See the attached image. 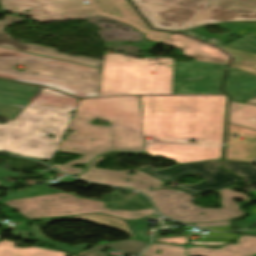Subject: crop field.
<instances>
[{"label": "crop field", "mask_w": 256, "mask_h": 256, "mask_svg": "<svg viewBox=\"0 0 256 256\" xmlns=\"http://www.w3.org/2000/svg\"><path fill=\"white\" fill-rule=\"evenodd\" d=\"M141 98L148 154L180 164L221 159L226 96Z\"/></svg>", "instance_id": "crop-field-1"}, {"label": "crop field", "mask_w": 256, "mask_h": 256, "mask_svg": "<svg viewBox=\"0 0 256 256\" xmlns=\"http://www.w3.org/2000/svg\"><path fill=\"white\" fill-rule=\"evenodd\" d=\"M96 118L111 124L109 127L89 124ZM68 130L74 132L62 141L58 151L84 156L64 166L57 164L53 167L71 175L83 171L71 166L86 164L97 154L109 150L141 151L144 148L138 97L82 100Z\"/></svg>", "instance_id": "crop-field-2"}, {"label": "crop field", "mask_w": 256, "mask_h": 256, "mask_svg": "<svg viewBox=\"0 0 256 256\" xmlns=\"http://www.w3.org/2000/svg\"><path fill=\"white\" fill-rule=\"evenodd\" d=\"M78 101L44 88L0 135V151L52 159L72 119L68 113L76 109ZM47 134L54 135L55 139L48 138Z\"/></svg>", "instance_id": "crop-field-3"}, {"label": "crop field", "mask_w": 256, "mask_h": 256, "mask_svg": "<svg viewBox=\"0 0 256 256\" xmlns=\"http://www.w3.org/2000/svg\"><path fill=\"white\" fill-rule=\"evenodd\" d=\"M104 158H99L90 165V171L82 175L81 179L97 184L130 187L140 192H143L149 196L158 210L168 218L178 220L185 223H203V222H216V221H229L235 217L244 215L238 211L239 206L249 204L250 201L246 194L235 193L227 188L218 190L221 193V203L223 207L221 209H202L192 203L194 197L182 192L174 191L172 189H164L157 191H149L148 187L152 186L155 189L159 188L164 182L157 180L139 170L135 171V176H129V171H110L105 169L94 168L96 162L101 161ZM96 172H92V171ZM125 177L126 179H122ZM131 179L130 182L126 181ZM140 182H144L140 184ZM235 198H241L245 202L238 204L232 200ZM204 213L205 215H200Z\"/></svg>", "instance_id": "crop-field-4"}, {"label": "crop field", "mask_w": 256, "mask_h": 256, "mask_svg": "<svg viewBox=\"0 0 256 256\" xmlns=\"http://www.w3.org/2000/svg\"><path fill=\"white\" fill-rule=\"evenodd\" d=\"M73 182L78 181L70 178L61 183L68 184ZM29 193H32V195H29ZM6 194H8V197H4L0 202L19 210L21 214L32 220L52 216L91 213H104L124 219H139L156 214V211L150 203H142V200L146 199V197L130 190L126 191L124 197L117 194L107 195L103 197L102 201L82 199L71 194L44 187H34L22 192H6ZM29 196H31V198H29ZM60 197L62 198L60 199ZM133 197H135V200H132ZM111 199L116 201H111ZM127 199H129V201H127ZM138 199H140V201ZM44 200H47V202H44ZM52 200L55 201L53 202ZM43 204H45V206H43ZM110 205H113V207H110ZM122 205H125V207H122ZM43 207L46 208L43 209ZM105 207H109V209L107 210ZM27 213L29 215H26ZM136 213L140 215L136 216Z\"/></svg>", "instance_id": "crop-field-5"}, {"label": "crop field", "mask_w": 256, "mask_h": 256, "mask_svg": "<svg viewBox=\"0 0 256 256\" xmlns=\"http://www.w3.org/2000/svg\"><path fill=\"white\" fill-rule=\"evenodd\" d=\"M23 64L24 72L13 69ZM99 69L0 48V78L40 84L79 98L98 97ZM38 74H34V73Z\"/></svg>", "instance_id": "crop-field-6"}, {"label": "crop field", "mask_w": 256, "mask_h": 256, "mask_svg": "<svg viewBox=\"0 0 256 256\" xmlns=\"http://www.w3.org/2000/svg\"><path fill=\"white\" fill-rule=\"evenodd\" d=\"M151 71H155V75H151ZM172 79L173 58L136 59L121 54L105 55L99 97L172 95Z\"/></svg>", "instance_id": "crop-field-7"}, {"label": "crop field", "mask_w": 256, "mask_h": 256, "mask_svg": "<svg viewBox=\"0 0 256 256\" xmlns=\"http://www.w3.org/2000/svg\"><path fill=\"white\" fill-rule=\"evenodd\" d=\"M32 7L31 17L40 22L106 16L135 27L145 38L161 42L170 33L150 30L126 0H6Z\"/></svg>", "instance_id": "crop-field-8"}, {"label": "crop field", "mask_w": 256, "mask_h": 256, "mask_svg": "<svg viewBox=\"0 0 256 256\" xmlns=\"http://www.w3.org/2000/svg\"><path fill=\"white\" fill-rule=\"evenodd\" d=\"M153 28L178 31L212 0H132Z\"/></svg>", "instance_id": "crop-field-9"}, {"label": "crop field", "mask_w": 256, "mask_h": 256, "mask_svg": "<svg viewBox=\"0 0 256 256\" xmlns=\"http://www.w3.org/2000/svg\"><path fill=\"white\" fill-rule=\"evenodd\" d=\"M220 163L221 160H214L184 164L162 171H154L151 167H144L140 168L139 170L166 182H170L191 173H198L206 177L207 181L194 187L184 185L176 186L182 191H187L198 195L209 190L215 191L243 181L222 170L220 168Z\"/></svg>", "instance_id": "crop-field-10"}, {"label": "crop field", "mask_w": 256, "mask_h": 256, "mask_svg": "<svg viewBox=\"0 0 256 256\" xmlns=\"http://www.w3.org/2000/svg\"><path fill=\"white\" fill-rule=\"evenodd\" d=\"M247 20H256V0H213L181 29L215 22Z\"/></svg>", "instance_id": "crop-field-11"}, {"label": "crop field", "mask_w": 256, "mask_h": 256, "mask_svg": "<svg viewBox=\"0 0 256 256\" xmlns=\"http://www.w3.org/2000/svg\"><path fill=\"white\" fill-rule=\"evenodd\" d=\"M243 236V235H242ZM186 247L153 244L142 256H185ZM157 250L161 254H155ZM256 253V237L243 236L236 245L224 247L220 250L188 247V256H252Z\"/></svg>", "instance_id": "crop-field-12"}, {"label": "crop field", "mask_w": 256, "mask_h": 256, "mask_svg": "<svg viewBox=\"0 0 256 256\" xmlns=\"http://www.w3.org/2000/svg\"><path fill=\"white\" fill-rule=\"evenodd\" d=\"M20 20H24V19L6 15L5 20L0 21V46L17 49L21 51H26V52H30V53H34L42 56L72 61V62H76V63H80V64H84V65H88L96 68H102L103 61L85 58L81 56L73 57V56L58 53L57 49L47 48V47L33 45V44L19 43L13 40L8 35V33H5L2 31L3 28Z\"/></svg>", "instance_id": "crop-field-13"}, {"label": "crop field", "mask_w": 256, "mask_h": 256, "mask_svg": "<svg viewBox=\"0 0 256 256\" xmlns=\"http://www.w3.org/2000/svg\"><path fill=\"white\" fill-rule=\"evenodd\" d=\"M239 133V138L233 139L232 134ZM256 159V130L228 123L226 160L254 162Z\"/></svg>", "instance_id": "crop-field-14"}, {"label": "crop field", "mask_w": 256, "mask_h": 256, "mask_svg": "<svg viewBox=\"0 0 256 256\" xmlns=\"http://www.w3.org/2000/svg\"><path fill=\"white\" fill-rule=\"evenodd\" d=\"M162 43L183 49L185 56L196 61L227 64L229 60L228 56L219 50L177 34L167 38Z\"/></svg>", "instance_id": "crop-field-15"}, {"label": "crop field", "mask_w": 256, "mask_h": 256, "mask_svg": "<svg viewBox=\"0 0 256 256\" xmlns=\"http://www.w3.org/2000/svg\"><path fill=\"white\" fill-rule=\"evenodd\" d=\"M226 30H228L230 33L227 35H221V34H210L207 31L204 30L205 27L188 30L183 32V34H186L188 36L197 38L199 40L208 42L213 45L223 44L227 42V39L230 34L234 33L238 36L243 37L247 33H252L256 35V22L252 23H231V24H224L219 25Z\"/></svg>", "instance_id": "crop-field-16"}, {"label": "crop field", "mask_w": 256, "mask_h": 256, "mask_svg": "<svg viewBox=\"0 0 256 256\" xmlns=\"http://www.w3.org/2000/svg\"><path fill=\"white\" fill-rule=\"evenodd\" d=\"M228 122L256 129V106L231 101Z\"/></svg>", "instance_id": "crop-field-17"}, {"label": "crop field", "mask_w": 256, "mask_h": 256, "mask_svg": "<svg viewBox=\"0 0 256 256\" xmlns=\"http://www.w3.org/2000/svg\"><path fill=\"white\" fill-rule=\"evenodd\" d=\"M41 244L36 243V246ZM19 248L14 247L13 242H0V256H72L67 253H58L39 248Z\"/></svg>", "instance_id": "crop-field-18"}, {"label": "crop field", "mask_w": 256, "mask_h": 256, "mask_svg": "<svg viewBox=\"0 0 256 256\" xmlns=\"http://www.w3.org/2000/svg\"><path fill=\"white\" fill-rule=\"evenodd\" d=\"M65 219H75V220H84L116 229H120L128 233L132 239H136V236L133 234V232L129 229V227L126 225L124 221L113 219L110 217H106L103 215H93V216H81V217H68V218H54V219H45L43 221H40L42 223L48 224L54 221L58 220H65ZM150 243V242H147Z\"/></svg>", "instance_id": "crop-field-19"}, {"label": "crop field", "mask_w": 256, "mask_h": 256, "mask_svg": "<svg viewBox=\"0 0 256 256\" xmlns=\"http://www.w3.org/2000/svg\"><path fill=\"white\" fill-rule=\"evenodd\" d=\"M234 57L232 67L256 76V54L243 52L229 47H220Z\"/></svg>", "instance_id": "crop-field-20"}, {"label": "crop field", "mask_w": 256, "mask_h": 256, "mask_svg": "<svg viewBox=\"0 0 256 256\" xmlns=\"http://www.w3.org/2000/svg\"><path fill=\"white\" fill-rule=\"evenodd\" d=\"M146 246L147 243L135 241V240H128L121 243H114V244H105L95 246L90 251L82 252L78 254V256H106V254L99 252L101 248L104 247H112L114 250L130 252L134 254L140 253Z\"/></svg>", "instance_id": "crop-field-21"}, {"label": "crop field", "mask_w": 256, "mask_h": 256, "mask_svg": "<svg viewBox=\"0 0 256 256\" xmlns=\"http://www.w3.org/2000/svg\"><path fill=\"white\" fill-rule=\"evenodd\" d=\"M30 232H33V234L35 235L37 240L52 244L53 246H55L56 248H58L62 251H66V252H70V253H74V254H76L79 251H81L82 249L90 246V245H80V246L74 245L71 247V246H66V245L57 243V242L52 241L46 237H43L42 233L37 225L31 226V231H13L12 236H19L21 238H24V240H22L21 242H26V240L29 239L28 234Z\"/></svg>", "instance_id": "crop-field-22"}, {"label": "crop field", "mask_w": 256, "mask_h": 256, "mask_svg": "<svg viewBox=\"0 0 256 256\" xmlns=\"http://www.w3.org/2000/svg\"><path fill=\"white\" fill-rule=\"evenodd\" d=\"M253 163L230 162L226 161L225 168L244 176L249 179L248 184L256 183V168L252 167Z\"/></svg>", "instance_id": "crop-field-23"}, {"label": "crop field", "mask_w": 256, "mask_h": 256, "mask_svg": "<svg viewBox=\"0 0 256 256\" xmlns=\"http://www.w3.org/2000/svg\"><path fill=\"white\" fill-rule=\"evenodd\" d=\"M238 235L235 234H220L210 232L208 235L203 236L200 242L190 241V245H209V246H221L229 240L236 239Z\"/></svg>", "instance_id": "crop-field-24"}, {"label": "crop field", "mask_w": 256, "mask_h": 256, "mask_svg": "<svg viewBox=\"0 0 256 256\" xmlns=\"http://www.w3.org/2000/svg\"><path fill=\"white\" fill-rule=\"evenodd\" d=\"M0 2H1V8L4 11L30 16L31 8H29V7H25V6H21V5L1 1V0H0ZM13 8L18 9V10H13ZM23 10H28L29 13L23 12Z\"/></svg>", "instance_id": "crop-field-25"}, {"label": "crop field", "mask_w": 256, "mask_h": 256, "mask_svg": "<svg viewBox=\"0 0 256 256\" xmlns=\"http://www.w3.org/2000/svg\"><path fill=\"white\" fill-rule=\"evenodd\" d=\"M195 226L204 227L212 230L218 231H229L230 223L229 222H219V223H204V224H196Z\"/></svg>", "instance_id": "crop-field-26"}, {"label": "crop field", "mask_w": 256, "mask_h": 256, "mask_svg": "<svg viewBox=\"0 0 256 256\" xmlns=\"http://www.w3.org/2000/svg\"><path fill=\"white\" fill-rule=\"evenodd\" d=\"M2 175H4V177H13L18 179V177L21 176L22 173H12L7 170L0 169V177H2ZM17 183H23V182H21L20 180L18 182H13V183H4L3 181H0V186L2 188H14L15 186L13 184H17Z\"/></svg>", "instance_id": "crop-field-27"}, {"label": "crop field", "mask_w": 256, "mask_h": 256, "mask_svg": "<svg viewBox=\"0 0 256 256\" xmlns=\"http://www.w3.org/2000/svg\"><path fill=\"white\" fill-rule=\"evenodd\" d=\"M188 236L186 237H175V238H163L156 240L158 242H165L171 244H178V245H186L187 244Z\"/></svg>", "instance_id": "crop-field-28"}, {"label": "crop field", "mask_w": 256, "mask_h": 256, "mask_svg": "<svg viewBox=\"0 0 256 256\" xmlns=\"http://www.w3.org/2000/svg\"><path fill=\"white\" fill-rule=\"evenodd\" d=\"M127 221L129 222V224H130L131 227H132V225H133L134 223H138V222L141 223L142 219H140V220H127ZM132 228H133V227H132ZM133 229H134V228H133ZM134 231H135L136 234L139 236V238L150 241V238H149V237H147V236H146L145 238L142 237V235H143L142 231L137 230V229H134ZM143 236H144V235H143Z\"/></svg>", "instance_id": "crop-field-29"}, {"label": "crop field", "mask_w": 256, "mask_h": 256, "mask_svg": "<svg viewBox=\"0 0 256 256\" xmlns=\"http://www.w3.org/2000/svg\"><path fill=\"white\" fill-rule=\"evenodd\" d=\"M12 121H9L6 125H0V134L3 133L10 125Z\"/></svg>", "instance_id": "crop-field-30"}, {"label": "crop field", "mask_w": 256, "mask_h": 256, "mask_svg": "<svg viewBox=\"0 0 256 256\" xmlns=\"http://www.w3.org/2000/svg\"><path fill=\"white\" fill-rule=\"evenodd\" d=\"M246 103L256 105V98L248 100Z\"/></svg>", "instance_id": "crop-field-31"}, {"label": "crop field", "mask_w": 256, "mask_h": 256, "mask_svg": "<svg viewBox=\"0 0 256 256\" xmlns=\"http://www.w3.org/2000/svg\"><path fill=\"white\" fill-rule=\"evenodd\" d=\"M253 193L255 194L256 196V191H253ZM253 212L256 213V208H252Z\"/></svg>", "instance_id": "crop-field-32"}, {"label": "crop field", "mask_w": 256, "mask_h": 256, "mask_svg": "<svg viewBox=\"0 0 256 256\" xmlns=\"http://www.w3.org/2000/svg\"><path fill=\"white\" fill-rule=\"evenodd\" d=\"M254 256H256V254Z\"/></svg>", "instance_id": "crop-field-33"}]
</instances>
